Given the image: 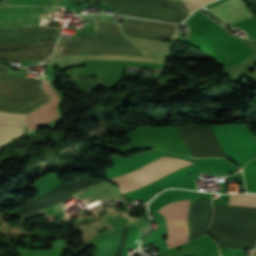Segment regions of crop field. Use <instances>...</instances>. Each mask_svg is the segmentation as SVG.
I'll list each match as a JSON object with an SVG mask.
<instances>
[{"label": "crop field", "instance_id": "crop-field-10", "mask_svg": "<svg viewBox=\"0 0 256 256\" xmlns=\"http://www.w3.org/2000/svg\"><path fill=\"white\" fill-rule=\"evenodd\" d=\"M81 59H128L153 63H166L167 59H153L144 57L124 56V55H81Z\"/></svg>", "mask_w": 256, "mask_h": 256}, {"label": "crop field", "instance_id": "crop-field-5", "mask_svg": "<svg viewBox=\"0 0 256 256\" xmlns=\"http://www.w3.org/2000/svg\"><path fill=\"white\" fill-rule=\"evenodd\" d=\"M188 164L192 163L189 161L162 157L141 169L119 178L110 179L109 181L116 184L121 192L125 193L147 185L154 180Z\"/></svg>", "mask_w": 256, "mask_h": 256}, {"label": "crop field", "instance_id": "crop-field-6", "mask_svg": "<svg viewBox=\"0 0 256 256\" xmlns=\"http://www.w3.org/2000/svg\"><path fill=\"white\" fill-rule=\"evenodd\" d=\"M123 32L128 37L172 40L175 25L125 17L121 23Z\"/></svg>", "mask_w": 256, "mask_h": 256}, {"label": "crop field", "instance_id": "crop-field-2", "mask_svg": "<svg viewBox=\"0 0 256 256\" xmlns=\"http://www.w3.org/2000/svg\"><path fill=\"white\" fill-rule=\"evenodd\" d=\"M113 53L143 56L122 34L118 23L95 21L94 36H78V41L59 40L53 54Z\"/></svg>", "mask_w": 256, "mask_h": 256}, {"label": "crop field", "instance_id": "crop-field-12", "mask_svg": "<svg viewBox=\"0 0 256 256\" xmlns=\"http://www.w3.org/2000/svg\"><path fill=\"white\" fill-rule=\"evenodd\" d=\"M212 1H215V0H185L190 12L199 6Z\"/></svg>", "mask_w": 256, "mask_h": 256}, {"label": "crop field", "instance_id": "crop-field-11", "mask_svg": "<svg viewBox=\"0 0 256 256\" xmlns=\"http://www.w3.org/2000/svg\"><path fill=\"white\" fill-rule=\"evenodd\" d=\"M228 205L256 208V195L235 194L230 196Z\"/></svg>", "mask_w": 256, "mask_h": 256}, {"label": "crop field", "instance_id": "crop-field-4", "mask_svg": "<svg viewBox=\"0 0 256 256\" xmlns=\"http://www.w3.org/2000/svg\"><path fill=\"white\" fill-rule=\"evenodd\" d=\"M117 9L118 15L177 23L187 14L176 0H93Z\"/></svg>", "mask_w": 256, "mask_h": 256}, {"label": "crop field", "instance_id": "crop-field-9", "mask_svg": "<svg viewBox=\"0 0 256 256\" xmlns=\"http://www.w3.org/2000/svg\"><path fill=\"white\" fill-rule=\"evenodd\" d=\"M130 39L146 56L163 57L165 51H167L168 43L148 40V39Z\"/></svg>", "mask_w": 256, "mask_h": 256}, {"label": "crop field", "instance_id": "crop-field-7", "mask_svg": "<svg viewBox=\"0 0 256 256\" xmlns=\"http://www.w3.org/2000/svg\"><path fill=\"white\" fill-rule=\"evenodd\" d=\"M43 87L45 91L49 93L52 100L42 108L30 113L25 117V121L29 125V131L59 117L56 110V105L61 100L60 97L50 86V80L44 79Z\"/></svg>", "mask_w": 256, "mask_h": 256}, {"label": "crop field", "instance_id": "crop-field-3", "mask_svg": "<svg viewBox=\"0 0 256 256\" xmlns=\"http://www.w3.org/2000/svg\"><path fill=\"white\" fill-rule=\"evenodd\" d=\"M58 30L59 28H46V27H19L17 29H11V30H0V51L1 50H22V49L54 46L57 40L27 42V43H20V42L55 38ZM52 48L15 51V52H0V59L33 60V59L47 58L50 55Z\"/></svg>", "mask_w": 256, "mask_h": 256}, {"label": "crop field", "instance_id": "crop-field-8", "mask_svg": "<svg viewBox=\"0 0 256 256\" xmlns=\"http://www.w3.org/2000/svg\"><path fill=\"white\" fill-rule=\"evenodd\" d=\"M215 14L229 22L231 25L252 17L241 0H228L210 9Z\"/></svg>", "mask_w": 256, "mask_h": 256}, {"label": "crop field", "instance_id": "crop-field-1", "mask_svg": "<svg viewBox=\"0 0 256 256\" xmlns=\"http://www.w3.org/2000/svg\"><path fill=\"white\" fill-rule=\"evenodd\" d=\"M42 79H21L12 76L0 78V112L27 114L49 101L41 87ZM0 113V147L20 136L24 115Z\"/></svg>", "mask_w": 256, "mask_h": 256}, {"label": "crop field", "instance_id": "crop-field-14", "mask_svg": "<svg viewBox=\"0 0 256 256\" xmlns=\"http://www.w3.org/2000/svg\"><path fill=\"white\" fill-rule=\"evenodd\" d=\"M181 1H183V0H181Z\"/></svg>", "mask_w": 256, "mask_h": 256}, {"label": "crop field", "instance_id": "crop-field-13", "mask_svg": "<svg viewBox=\"0 0 256 256\" xmlns=\"http://www.w3.org/2000/svg\"><path fill=\"white\" fill-rule=\"evenodd\" d=\"M8 71H10V70L8 68H6L5 66H3V65L0 66V73H5Z\"/></svg>", "mask_w": 256, "mask_h": 256}]
</instances>
